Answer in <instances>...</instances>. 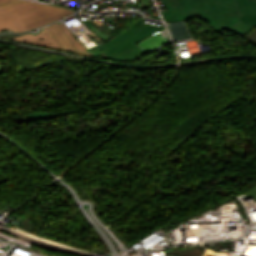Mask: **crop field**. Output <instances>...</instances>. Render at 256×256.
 Here are the masks:
<instances>
[{"instance_id": "obj_1", "label": "crop field", "mask_w": 256, "mask_h": 256, "mask_svg": "<svg viewBox=\"0 0 256 256\" xmlns=\"http://www.w3.org/2000/svg\"><path fill=\"white\" fill-rule=\"evenodd\" d=\"M167 11L161 12L166 22L188 20L198 17L206 19L215 32L225 27L243 36L253 26L241 23L240 14L233 0H162Z\"/></svg>"}, {"instance_id": "obj_2", "label": "crop field", "mask_w": 256, "mask_h": 256, "mask_svg": "<svg viewBox=\"0 0 256 256\" xmlns=\"http://www.w3.org/2000/svg\"><path fill=\"white\" fill-rule=\"evenodd\" d=\"M74 11L35 2H24L0 9V31L24 32L64 18Z\"/></svg>"}, {"instance_id": "obj_3", "label": "crop field", "mask_w": 256, "mask_h": 256, "mask_svg": "<svg viewBox=\"0 0 256 256\" xmlns=\"http://www.w3.org/2000/svg\"><path fill=\"white\" fill-rule=\"evenodd\" d=\"M162 25L157 28L155 26L143 24V19H138L121 35L100 45L101 49L108 56L105 59L117 61H132L141 59L142 54L138 47H136L135 43L157 32L158 30L163 29Z\"/></svg>"}, {"instance_id": "obj_4", "label": "crop field", "mask_w": 256, "mask_h": 256, "mask_svg": "<svg viewBox=\"0 0 256 256\" xmlns=\"http://www.w3.org/2000/svg\"><path fill=\"white\" fill-rule=\"evenodd\" d=\"M45 28L58 43L61 49L69 50L80 54L91 55L90 53L77 51L72 43L69 41V39L66 37V35L63 33V31L60 29V27L57 25V23Z\"/></svg>"}, {"instance_id": "obj_5", "label": "crop field", "mask_w": 256, "mask_h": 256, "mask_svg": "<svg viewBox=\"0 0 256 256\" xmlns=\"http://www.w3.org/2000/svg\"><path fill=\"white\" fill-rule=\"evenodd\" d=\"M14 39L60 49L45 28H43V30L37 35L27 34Z\"/></svg>"}, {"instance_id": "obj_6", "label": "crop field", "mask_w": 256, "mask_h": 256, "mask_svg": "<svg viewBox=\"0 0 256 256\" xmlns=\"http://www.w3.org/2000/svg\"><path fill=\"white\" fill-rule=\"evenodd\" d=\"M241 15L256 14V1L234 0Z\"/></svg>"}, {"instance_id": "obj_7", "label": "crop field", "mask_w": 256, "mask_h": 256, "mask_svg": "<svg viewBox=\"0 0 256 256\" xmlns=\"http://www.w3.org/2000/svg\"><path fill=\"white\" fill-rule=\"evenodd\" d=\"M59 26L62 28L64 33L67 35V37L70 39V41L73 43V45L76 47L77 50L85 51L87 50L79 41L74 37L72 33H70L61 22H58Z\"/></svg>"}, {"instance_id": "obj_8", "label": "crop field", "mask_w": 256, "mask_h": 256, "mask_svg": "<svg viewBox=\"0 0 256 256\" xmlns=\"http://www.w3.org/2000/svg\"><path fill=\"white\" fill-rule=\"evenodd\" d=\"M241 21L256 26V15L241 16Z\"/></svg>"}, {"instance_id": "obj_9", "label": "crop field", "mask_w": 256, "mask_h": 256, "mask_svg": "<svg viewBox=\"0 0 256 256\" xmlns=\"http://www.w3.org/2000/svg\"><path fill=\"white\" fill-rule=\"evenodd\" d=\"M24 1H26V0H12V1H8V2L0 3V8L9 6V5H13V4H17V3H21Z\"/></svg>"}, {"instance_id": "obj_10", "label": "crop field", "mask_w": 256, "mask_h": 256, "mask_svg": "<svg viewBox=\"0 0 256 256\" xmlns=\"http://www.w3.org/2000/svg\"><path fill=\"white\" fill-rule=\"evenodd\" d=\"M247 195H248V197H250L252 195H254L256 197V186H254V188L250 192H248Z\"/></svg>"}, {"instance_id": "obj_11", "label": "crop field", "mask_w": 256, "mask_h": 256, "mask_svg": "<svg viewBox=\"0 0 256 256\" xmlns=\"http://www.w3.org/2000/svg\"><path fill=\"white\" fill-rule=\"evenodd\" d=\"M4 1H8V0H0V2H4Z\"/></svg>"}]
</instances>
